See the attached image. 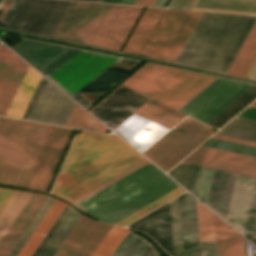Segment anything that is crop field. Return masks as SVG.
Listing matches in <instances>:
<instances>
[{"instance_id": "crop-field-16", "label": "crop field", "mask_w": 256, "mask_h": 256, "mask_svg": "<svg viewBox=\"0 0 256 256\" xmlns=\"http://www.w3.org/2000/svg\"><path fill=\"white\" fill-rule=\"evenodd\" d=\"M147 99L122 86L91 113L113 129Z\"/></svg>"}, {"instance_id": "crop-field-56", "label": "crop field", "mask_w": 256, "mask_h": 256, "mask_svg": "<svg viewBox=\"0 0 256 256\" xmlns=\"http://www.w3.org/2000/svg\"><path fill=\"white\" fill-rule=\"evenodd\" d=\"M147 102H149V103H151V104H153V105H155V106H157V107H159V108H161V109H163V110H165V111H167V112H169V113H171V114H173V115H175V116H177L181 119H183L185 117V116H183L184 114L181 115V114H179V113H177V112H175V111H173V110H171V109H169V108H167V107H165V106H163V105H161V104H159V103H157V102H155L151 99H149Z\"/></svg>"}, {"instance_id": "crop-field-60", "label": "crop field", "mask_w": 256, "mask_h": 256, "mask_svg": "<svg viewBox=\"0 0 256 256\" xmlns=\"http://www.w3.org/2000/svg\"><path fill=\"white\" fill-rule=\"evenodd\" d=\"M248 78L256 79V61L248 74Z\"/></svg>"}, {"instance_id": "crop-field-27", "label": "crop field", "mask_w": 256, "mask_h": 256, "mask_svg": "<svg viewBox=\"0 0 256 256\" xmlns=\"http://www.w3.org/2000/svg\"><path fill=\"white\" fill-rule=\"evenodd\" d=\"M65 205V203L55 200L17 256H31L33 254Z\"/></svg>"}, {"instance_id": "crop-field-62", "label": "crop field", "mask_w": 256, "mask_h": 256, "mask_svg": "<svg viewBox=\"0 0 256 256\" xmlns=\"http://www.w3.org/2000/svg\"><path fill=\"white\" fill-rule=\"evenodd\" d=\"M121 0H100V2H107V3H120Z\"/></svg>"}, {"instance_id": "crop-field-51", "label": "crop field", "mask_w": 256, "mask_h": 256, "mask_svg": "<svg viewBox=\"0 0 256 256\" xmlns=\"http://www.w3.org/2000/svg\"><path fill=\"white\" fill-rule=\"evenodd\" d=\"M117 62L119 63H123V64H128V65H132L134 66L136 63H138L137 61H133V60H129V59H125V58H121L120 60H118ZM115 64V63H114ZM111 67V66H110ZM107 70V69H106ZM98 77V76H97ZM94 80V79H93ZM90 83V82H89ZM88 83V84H89ZM85 87V86H84ZM81 90V89H80ZM71 97H73L75 100H77L79 103H81L83 106H85L86 108L91 104L89 103L87 100H85L84 98H82L80 95L77 94V92L72 95ZM84 107V108H85Z\"/></svg>"}, {"instance_id": "crop-field-9", "label": "crop field", "mask_w": 256, "mask_h": 256, "mask_svg": "<svg viewBox=\"0 0 256 256\" xmlns=\"http://www.w3.org/2000/svg\"><path fill=\"white\" fill-rule=\"evenodd\" d=\"M111 7L72 1L54 36L91 45Z\"/></svg>"}, {"instance_id": "crop-field-53", "label": "crop field", "mask_w": 256, "mask_h": 256, "mask_svg": "<svg viewBox=\"0 0 256 256\" xmlns=\"http://www.w3.org/2000/svg\"><path fill=\"white\" fill-rule=\"evenodd\" d=\"M237 116L247 118V119L256 120V107L248 106L246 109H244Z\"/></svg>"}, {"instance_id": "crop-field-45", "label": "crop field", "mask_w": 256, "mask_h": 256, "mask_svg": "<svg viewBox=\"0 0 256 256\" xmlns=\"http://www.w3.org/2000/svg\"><path fill=\"white\" fill-rule=\"evenodd\" d=\"M244 233H256V185Z\"/></svg>"}, {"instance_id": "crop-field-47", "label": "crop field", "mask_w": 256, "mask_h": 256, "mask_svg": "<svg viewBox=\"0 0 256 256\" xmlns=\"http://www.w3.org/2000/svg\"><path fill=\"white\" fill-rule=\"evenodd\" d=\"M33 0H24L20 6L18 12L16 13L14 19L12 20L10 27L19 29L26 13L28 12Z\"/></svg>"}, {"instance_id": "crop-field-63", "label": "crop field", "mask_w": 256, "mask_h": 256, "mask_svg": "<svg viewBox=\"0 0 256 256\" xmlns=\"http://www.w3.org/2000/svg\"><path fill=\"white\" fill-rule=\"evenodd\" d=\"M135 0H123L122 3L134 4Z\"/></svg>"}, {"instance_id": "crop-field-5", "label": "crop field", "mask_w": 256, "mask_h": 256, "mask_svg": "<svg viewBox=\"0 0 256 256\" xmlns=\"http://www.w3.org/2000/svg\"><path fill=\"white\" fill-rule=\"evenodd\" d=\"M248 19L202 12L175 62L220 72Z\"/></svg>"}, {"instance_id": "crop-field-12", "label": "crop field", "mask_w": 256, "mask_h": 256, "mask_svg": "<svg viewBox=\"0 0 256 256\" xmlns=\"http://www.w3.org/2000/svg\"><path fill=\"white\" fill-rule=\"evenodd\" d=\"M142 8L113 5L92 45L119 50Z\"/></svg>"}, {"instance_id": "crop-field-64", "label": "crop field", "mask_w": 256, "mask_h": 256, "mask_svg": "<svg viewBox=\"0 0 256 256\" xmlns=\"http://www.w3.org/2000/svg\"><path fill=\"white\" fill-rule=\"evenodd\" d=\"M251 106H256V100L250 104Z\"/></svg>"}, {"instance_id": "crop-field-52", "label": "crop field", "mask_w": 256, "mask_h": 256, "mask_svg": "<svg viewBox=\"0 0 256 256\" xmlns=\"http://www.w3.org/2000/svg\"><path fill=\"white\" fill-rule=\"evenodd\" d=\"M23 0H15L10 7L9 11L7 12L6 16L4 17L3 21L5 24L9 26L11 20L13 19L15 13L17 12L20 4L22 3Z\"/></svg>"}, {"instance_id": "crop-field-11", "label": "crop field", "mask_w": 256, "mask_h": 256, "mask_svg": "<svg viewBox=\"0 0 256 256\" xmlns=\"http://www.w3.org/2000/svg\"><path fill=\"white\" fill-rule=\"evenodd\" d=\"M183 162L256 177V157L200 146Z\"/></svg>"}, {"instance_id": "crop-field-8", "label": "crop field", "mask_w": 256, "mask_h": 256, "mask_svg": "<svg viewBox=\"0 0 256 256\" xmlns=\"http://www.w3.org/2000/svg\"><path fill=\"white\" fill-rule=\"evenodd\" d=\"M118 59L82 50L45 76L71 96Z\"/></svg>"}, {"instance_id": "crop-field-22", "label": "crop field", "mask_w": 256, "mask_h": 256, "mask_svg": "<svg viewBox=\"0 0 256 256\" xmlns=\"http://www.w3.org/2000/svg\"><path fill=\"white\" fill-rule=\"evenodd\" d=\"M235 176L234 173L214 171L206 205L224 220L226 219Z\"/></svg>"}, {"instance_id": "crop-field-35", "label": "crop field", "mask_w": 256, "mask_h": 256, "mask_svg": "<svg viewBox=\"0 0 256 256\" xmlns=\"http://www.w3.org/2000/svg\"><path fill=\"white\" fill-rule=\"evenodd\" d=\"M198 168L199 167L197 166L180 163L175 168H173L168 175L192 193Z\"/></svg>"}, {"instance_id": "crop-field-31", "label": "crop field", "mask_w": 256, "mask_h": 256, "mask_svg": "<svg viewBox=\"0 0 256 256\" xmlns=\"http://www.w3.org/2000/svg\"><path fill=\"white\" fill-rule=\"evenodd\" d=\"M216 133L256 141V121L235 117Z\"/></svg>"}, {"instance_id": "crop-field-49", "label": "crop field", "mask_w": 256, "mask_h": 256, "mask_svg": "<svg viewBox=\"0 0 256 256\" xmlns=\"http://www.w3.org/2000/svg\"><path fill=\"white\" fill-rule=\"evenodd\" d=\"M46 81H47L46 79L42 78V80H41V82H40V84H39V86H38V88H37V90H36V92H35V94H34V96H33V98H32V100H31V102H30V104H29V106H28V108H27V110H26L22 119H25V120L28 119V117H29V115H30V113H31V111H32V109H33V107H34V105H35V103H36V101H37L45 83H46Z\"/></svg>"}, {"instance_id": "crop-field-39", "label": "crop field", "mask_w": 256, "mask_h": 256, "mask_svg": "<svg viewBox=\"0 0 256 256\" xmlns=\"http://www.w3.org/2000/svg\"><path fill=\"white\" fill-rule=\"evenodd\" d=\"M175 256H182L177 198L169 201Z\"/></svg>"}, {"instance_id": "crop-field-58", "label": "crop field", "mask_w": 256, "mask_h": 256, "mask_svg": "<svg viewBox=\"0 0 256 256\" xmlns=\"http://www.w3.org/2000/svg\"><path fill=\"white\" fill-rule=\"evenodd\" d=\"M142 256H157L155 249L150 244Z\"/></svg>"}, {"instance_id": "crop-field-33", "label": "crop field", "mask_w": 256, "mask_h": 256, "mask_svg": "<svg viewBox=\"0 0 256 256\" xmlns=\"http://www.w3.org/2000/svg\"><path fill=\"white\" fill-rule=\"evenodd\" d=\"M65 126L101 132H105L107 129L77 104H75Z\"/></svg>"}, {"instance_id": "crop-field-1", "label": "crop field", "mask_w": 256, "mask_h": 256, "mask_svg": "<svg viewBox=\"0 0 256 256\" xmlns=\"http://www.w3.org/2000/svg\"><path fill=\"white\" fill-rule=\"evenodd\" d=\"M70 130L0 118V184L44 191Z\"/></svg>"}, {"instance_id": "crop-field-6", "label": "crop field", "mask_w": 256, "mask_h": 256, "mask_svg": "<svg viewBox=\"0 0 256 256\" xmlns=\"http://www.w3.org/2000/svg\"><path fill=\"white\" fill-rule=\"evenodd\" d=\"M215 79L146 63L122 84L178 110Z\"/></svg>"}, {"instance_id": "crop-field-61", "label": "crop field", "mask_w": 256, "mask_h": 256, "mask_svg": "<svg viewBox=\"0 0 256 256\" xmlns=\"http://www.w3.org/2000/svg\"><path fill=\"white\" fill-rule=\"evenodd\" d=\"M167 0H157L154 6L164 7Z\"/></svg>"}, {"instance_id": "crop-field-26", "label": "crop field", "mask_w": 256, "mask_h": 256, "mask_svg": "<svg viewBox=\"0 0 256 256\" xmlns=\"http://www.w3.org/2000/svg\"><path fill=\"white\" fill-rule=\"evenodd\" d=\"M256 59V21L243 42L227 73L244 77Z\"/></svg>"}, {"instance_id": "crop-field-15", "label": "crop field", "mask_w": 256, "mask_h": 256, "mask_svg": "<svg viewBox=\"0 0 256 256\" xmlns=\"http://www.w3.org/2000/svg\"><path fill=\"white\" fill-rule=\"evenodd\" d=\"M75 102L47 82L29 120L64 126Z\"/></svg>"}, {"instance_id": "crop-field-30", "label": "crop field", "mask_w": 256, "mask_h": 256, "mask_svg": "<svg viewBox=\"0 0 256 256\" xmlns=\"http://www.w3.org/2000/svg\"><path fill=\"white\" fill-rule=\"evenodd\" d=\"M255 98L256 85H253L230 105L218 113L214 118H212L207 124L215 128H220Z\"/></svg>"}, {"instance_id": "crop-field-19", "label": "crop field", "mask_w": 256, "mask_h": 256, "mask_svg": "<svg viewBox=\"0 0 256 256\" xmlns=\"http://www.w3.org/2000/svg\"><path fill=\"white\" fill-rule=\"evenodd\" d=\"M256 179L236 176L226 221L243 234Z\"/></svg>"}, {"instance_id": "crop-field-29", "label": "crop field", "mask_w": 256, "mask_h": 256, "mask_svg": "<svg viewBox=\"0 0 256 256\" xmlns=\"http://www.w3.org/2000/svg\"><path fill=\"white\" fill-rule=\"evenodd\" d=\"M31 196L30 193L14 191L0 212V240Z\"/></svg>"}, {"instance_id": "crop-field-41", "label": "crop field", "mask_w": 256, "mask_h": 256, "mask_svg": "<svg viewBox=\"0 0 256 256\" xmlns=\"http://www.w3.org/2000/svg\"><path fill=\"white\" fill-rule=\"evenodd\" d=\"M202 145L203 146H208V147H213V148H218V149H223V150H228V151H232V152H237V153L256 156V147L241 145V144L222 141V140H218V139L210 138L209 140H207Z\"/></svg>"}, {"instance_id": "crop-field-46", "label": "crop field", "mask_w": 256, "mask_h": 256, "mask_svg": "<svg viewBox=\"0 0 256 256\" xmlns=\"http://www.w3.org/2000/svg\"><path fill=\"white\" fill-rule=\"evenodd\" d=\"M86 220H87V218L82 215L80 220L77 222V224L75 225L73 230L70 232V234L68 235V237L63 242V244L61 245V247L59 248V250L57 251V253L54 256H62L63 255V253L68 248L70 243L73 241V239L75 238V236L77 235V233L79 232V230L81 229V227L83 226V224L85 223Z\"/></svg>"}, {"instance_id": "crop-field-54", "label": "crop field", "mask_w": 256, "mask_h": 256, "mask_svg": "<svg viewBox=\"0 0 256 256\" xmlns=\"http://www.w3.org/2000/svg\"><path fill=\"white\" fill-rule=\"evenodd\" d=\"M212 137H213V138L222 139V140L237 142V143H241V144L256 146V142H251V141H246V140L231 138V137H227V136H222V135L214 134Z\"/></svg>"}, {"instance_id": "crop-field-24", "label": "crop field", "mask_w": 256, "mask_h": 256, "mask_svg": "<svg viewBox=\"0 0 256 256\" xmlns=\"http://www.w3.org/2000/svg\"><path fill=\"white\" fill-rule=\"evenodd\" d=\"M218 256H244L243 237L214 215Z\"/></svg>"}, {"instance_id": "crop-field-40", "label": "crop field", "mask_w": 256, "mask_h": 256, "mask_svg": "<svg viewBox=\"0 0 256 256\" xmlns=\"http://www.w3.org/2000/svg\"><path fill=\"white\" fill-rule=\"evenodd\" d=\"M53 202H54V199L48 197V199L46 200L42 208L39 210V212L37 213V215L31 222V224L29 225L25 233L22 235V237L20 238V240L18 241V243L16 244V246L14 247V249L12 250L9 256H16L18 254V252L21 250V248L23 247V245L25 244L29 236L32 234V232L34 231V229L36 228L38 223L41 221V219L43 218V216L45 215V213L47 212V210L49 209V207L52 205Z\"/></svg>"}, {"instance_id": "crop-field-42", "label": "crop field", "mask_w": 256, "mask_h": 256, "mask_svg": "<svg viewBox=\"0 0 256 256\" xmlns=\"http://www.w3.org/2000/svg\"><path fill=\"white\" fill-rule=\"evenodd\" d=\"M212 169L200 167L193 195L206 203L212 175Z\"/></svg>"}, {"instance_id": "crop-field-20", "label": "crop field", "mask_w": 256, "mask_h": 256, "mask_svg": "<svg viewBox=\"0 0 256 256\" xmlns=\"http://www.w3.org/2000/svg\"><path fill=\"white\" fill-rule=\"evenodd\" d=\"M47 196L33 194L22 212L0 242V256H8L21 235L24 233Z\"/></svg>"}, {"instance_id": "crop-field-17", "label": "crop field", "mask_w": 256, "mask_h": 256, "mask_svg": "<svg viewBox=\"0 0 256 256\" xmlns=\"http://www.w3.org/2000/svg\"><path fill=\"white\" fill-rule=\"evenodd\" d=\"M29 65L0 45V115L4 116Z\"/></svg>"}, {"instance_id": "crop-field-4", "label": "crop field", "mask_w": 256, "mask_h": 256, "mask_svg": "<svg viewBox=\"0 0 256 256\" xmlns=\"http://www.w3.org/2000/svg\"><path fill=\"white\" fill-rule=\"evenodd\" d=\"M200 14L147 8L124 51L174 62Z\"/></svg>"}, {"instance_id": "crop-field-18", "label": "crop field", "mask_w": 256, "mask_h": 256, "mask_svg": "<svg viewBox=\"0 0 256 256\" xmlns=\"http://www.w3.org/2000/svg\"><path fill=\"white\" fill-rule=\"evenodd\" d=\"M183 256H200L195 198L178 196Z\"/></svg>"}, {"instance_id": "crop-field-7", "label": "crop field", "mask_w": 256, "mask_h": 256, "mask_svg": "<svg viewBox=\"0 0 256 256\" xmlns=\"http://www.w3.org/2000/svg\"><path fill=\"white\" fill-rule=\"evenodd\" d=\"M213 133L211 127L185 118L143 154L168 171Z\"/></svg>"}, {"instance_id": "crop-field-48", "label": "crop field", "mask_w": 256, "mask_h": 256, "mask_svg": "<svg viewBox=\"0 0 256 256\" xmlns=\"http://www.w3.org/2000/svg\"><path fill=\"white\" fill-rule=\"evenodd\" d=\"M70 207H68L66 205V207L64 208V210L62 211V213L60 214V216L57 218V220L55 221V223L53 224V226L51 227V229L49 230V232L47 233V235L45 236V238L43 239V241L40 243V245L38 246V248L36 249V251L34 252V254L32 256H37L38 253L41 251V249L43 248V246L45 245V243L47 242V240L49 239V237L51 236V234L54 232V230L56 229V227L58 226V224L60 223V221L62 220V218L65 216V214L67 213V211L69 210Z\"/></svg>"}, {"instance_id": "crop-field-14", "label": "crop field", "mask_w": 256, "mask_h": 256, "mask_svg": "<svg viewBox=\"0 0 256 256\" xmlns=\"http://www.w3.org/2000/svg\"><path fill=\"white\" fill-rule=\"evenodd\" d=\"M13 50L44 75L80 51L29 40H25Z\"/></svg>"}, {"instance_id": "crop-field-36", "label": "crop field", "mask_w": 256, "mask_h": 256, "mask_svg": "<svg viewBox=\"0 0 256 256\" xmlns=\"http://www.w3.org/2000/svg\"><path fill=\"white\" fill-rule=\"evenodd\" d=\"M129 229L113 226L91 256H110Z\"/></svg>"}, {"instance_id": "crop-field-37", "label": "crop field", "mask_w": 256, "mask_h": 256, "mask_svg": "<svg viewBox=\"0 0 256 256\" xmlns=\"http://www.w3.org/2000/svg\"><path fill=\"white\" fill-rule=\"evenodd\" d=\"M200 241L215 240L213 213L196 200Z\"/></svg>"}, {"instance_id": "crop-field-43", "label": "crop field", "mask_w": 256, "mask_h": 256, "mask_svg": "<svg viewBox=\"0 0 256 256\" xmlns=\"http://www.w3.org/2000/svg\"><path fill=\"white\" fill-rule=\"evenodd\" d=\"M147 163H149V162L144 159L142 162L136 164L135 166L129 168L128 170L122 172L121 174L115 176L114 178L108 180L107 182L101 184L100 186H98V187L94 188L93 190L87 192L86 194L80 196L79 198L73 200L72 203L75 205V204L81 202L82 200L88 198L89 196L95 194L96 192L102 190L103 188L109 186L110 184L114 183L115 181L121 179L122 177L128 175L129 173L135 171L136 169L142 167L143 165H145Z\"/></svg>"}, {"instance_id": "crop-field-28", "label": "crop field", "mask_w": 256, "mask_h": 256, "mask_svg": "<svg viewBox=\"0 0 256 256\" xmlns=\"http://www.w3.org/2000/svg\"><path fill=\"white\" fill-rule=\"evenodd\" d=\"M77 212V211H76ZM70 208L38 256H53L81 217Z\"/></svg>"}, {"instance_id": "crop-field-59", "label": "crop field", "mask_w": 256, "mask_h": 256, "mask_svg": "<svg viewBox=\"0 0 256 256\" xmlns=\"http://www.w3.org/2000/svg\"><path fill=\"white\" fill-rule=\"evenodd\" d=\"M155 0H136L135 4L153 6Z\"/></svg>"}, {"instance_id": "crop-field-55", "label": "crop field", "mask_w": 256, "mask_h": 256, "mask_svg": "<svg viewBox=\"0 0 256 256\" xmlns=\"http://www.w3.org/2000/svg\"><path fill=\"white\" fill-rule=\"evenodd\" d=\"M12 193V190L0 188V210L2 209V207L4 206V204L9 199Z\"/></svg>"}, {"instance_id": "crop-field-13", "label": "crop field", "mask_w": 256, "mask_h": 256, "mask_svg": "<svg viewBox=\"0 0 256 256\" xmlns=\"http://www.w3.org/2000/svg\"><path fill=\"white\" fill-rule=\"evenodd\" d=\"M71 1L34 0L20 29L53 36Z\"/></svg>"}, {"instance_id": "crop-field-50", "label": "crop field", "mask_w": 256, "mask_h": 256, "mask_svg": "<svg viewBox=\"0 0 256 256\" xmlns=\"http://www.w3.org/2000/svg\"><path fill=\"white\" fill-rule=\"evenodd\" d=\"M201 256H217L215 241L200 242Z\"/></svg>"}, {"instance_id": "crop-field-21", "label": "crop field", "mask_w": 256, "mask_h": 256, "mask_svg": "<svg viewBox=\"0 0 256 256\" xmlns=\"http://www.w3.org/2000/svg\"><path fill=\"white\" fill-rule=\"evenodd\" d=\"M111 227L88 219L63 256H90Z\"/></svg>"}, {"instance_id": "crop-field-34", "label": "crop field", "mask_w": 256, "mask_h": 256, "mask_svg": "<svg viewBox=\"0 0 256 256\" xmlns=\"http://www.w3.org/2000/svg\"><path fill=\"white\" fill-rule=\"evenodd\" d=\"M135 113L159 123L169 129L175 126L181 119L145 102Z\"/></svg>"}, {"instance_id": "crop-field-2", "label": "crop field", "mask_w": 256, "mask_h": 256, "mask_svg": "<svg viewBox=\"0 0 256 256\" xmlns=\"http://www.w3.org/2000/svg\"><path fill=\"white\" fill-rule=\"evenodd\" d=\"M142 157L118 137L82 131L73 140L52 193L71 201Z\"/></svg>"}, {"instance_id": "crop-field-3", "label": "crop field", "mask_w": 256, "mask_h": 256, "mask_svg": "<svg viewBox=\"0 0 256 256\" xmlns=\"http://www.w3.org/2000/svg\"><path fill=\"white\" fill-rule=\"evenodd\" d=\"M177 186L149 163L75 206L113 224Z\"/></svg>"}, {"instance_id": "crop-field-65", "label": "crop field", "mask_w": 256, "mask_h": 256, "mask_svg": "<svg viewBox=\"0 0 256 256\" xmlns=\"http://www.w3.org/2000/svg\"><path fill=\"white\" fill-rule=\"evenodd\" d=\"M84 1H94V2H99V0H84Z\"/></svg>"}, {"instance_id": "crop-field-10", "label": "crop field", "mask_w": 256, "mask_h": 256, "mask_svg": "<svg viewBox=\"0 0 256 256\" xmlns=\"http://www.w3.org/2000/svg\"><path fill=\"white\" fill-rule=\"evenodd\" d=\"M250 86L252 85L218 78L179 111L206 123Z\"/></svg>"}, {"instance_id": "crop-field-23", "label": "crop field", "mask_w": 256, "mask_h": 256, "mask_svg": "<svg viewBox=\"0 0 256 256\" xmlns=\"http://www.w3.org/2000/svg\"><path fill=\"white\" fill-rule=\"evenodd\" d=\"M182 1L183 0H173L170 7H180ZM193 1L194 0H185L182 7L190 8ZM195 1L193 2L190 9L256 15V14H253V13H256V0H197L196 3H195ZM194 3H195V5H194ZM193 5H194V7H198V8L231 10V11L253 12V13L198 9V8H192Z\"/></svg>"}, {"instance_id": "crop-field-57", "label": "crop field", "mask_w": 256, "mask_h": 256, "mask_svg": "<svg viewBox=\"0 0 256 256\" xmlns=\"http://www.w3.org/2000/svg\"><path fill=\"white\" fill-rule=\"evenodd\" d=\"M13 0H5L0 8V20L2 21L3 17L5 16L7 10L9 9L10 5L12 4Z\"/></svg>"}, {"instance_id": "crop-field-25", "label": "crop field", "mask_w": 256, "mask_h": 256, "mask_svg": "<svg viewBox=\"0 0 256 256\" xmlns=\"http://www.w3.org/2000/svg\"><path fill=\"white\" fill-rule=\"evenodd\" d=\"M42 76L29 67L5 116L21 119Z\"/></svg>"}, {"instance_id": "crop-field-44", "label": "crop field", "mask_w": 256, "mask_h": 256, "mask_svg": "<svg viewBox=\"0 0 256 256\" xmlns=\"http://www.w3.org/2000/svg\"><path fill=\"white\" fill-rule=\"evenodd\" d=\"M255 19H256V17H250V19H249L247 25L245 26V28H244L242 34L240 35V37H239V39H238L236 45L234 46V48H233L231 54L229 55V57H228L226 63L224 64V66H223L221 72L226 73V71H227L229 65L231 64L233 58L235 57V55H236L238 49L240 48L242 42L244 41V39H245L247 33L249 32L251 26L253 25ZM248 34H249V33H248ZM239 50H240V49H239ZM234 59H235V58H234ZM230 66H231V65H230Z\"/></svg>"}, {"instance_id": "crop-field-38", "label": "crop field", "mask_w": 256, "mask_h": 256, "mask_svg": "<svg viewBox=\"0 0 256 256\" xmlns=\"http://www.w3.org/2000/svg\"><path fill=\"white\" fill-rule=\"evenodd\" d=\"M180 186L173 189L172 191L168 192L167 194L161 196L160 198L156 199L155 201L149 203L148 205L144 206L143 208L137 210L136 212L132 213L131 215L125 217L124 219L120 220L119 222L115 223V225L125 226L126 224L132 222L133 220L139 218L140 216L148 213L149 211L155 209L156 207L162 205L163 203L167 202L171 198L175 197L179 193L183 192Z\"/></svg>"}, {"instance_id": "crop-field-32", "label": "crop field", "mask_w": 256, "mask_h": 256, "mask_svg": "<svg viewBox=\"0 0 256 256\" xmlns=\"http://www.w3.org/2000/svg\"><path fill=\"white\" fill-rule=\"evenodd\" d=\"M149 244L129 230L111 256H141Z\"/></svg>"}]
</instances>
